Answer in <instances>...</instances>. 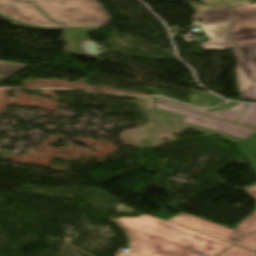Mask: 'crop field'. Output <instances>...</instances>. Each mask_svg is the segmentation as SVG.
I'll return each mask as SVG.
<instances>
[{"mask_svg":"<svg viewBox=\"0 0 256 256\" xmlns=\"http://www.w3.org/2000/svg\"><path fill=\"white\" fill-rule=\"evenodd\" d=\"M117 220L131 237L118 256H217L232 245L146 214Z\"/></svg>","mask_w":256,"mask_h":256,"instance_id":"crop-field-1","label":"crop field"},{"mask_svg":"<svg viewBox=\"0 0 256 256\" xmlns=\"http://www.w3.org/2000/svg\"><path fill=\"white\" fill-rule=\"evenodd\" d=\"M36 4L63 27L99 26L110 21L109 15L95 0H24Z\"/></svg>","mask_w":256,"mask_h":256,"instance_id":"crop-field-2","label":"crop field"},{"mask_svg":"<svg viewBox=\"0 0 256 256\" xmlns=\"http://www.w3.org/2000/svg\"><path fill=\"white\" fill-rule=\"evenodd\" d=\"M245 191L256 200V186ZM168 221L256 252V212L244 219L235 231L186 213Z\"/></svg>","mask_w":256,"mask_h":256,"instance_id":"crop-field-3","label":"crop field"},{"mask_svg":"<svg viewBox=\"0 0 256 256\" xmlns=\"http://www.w3.org/2000/svg\"><path fill=\"white\" fill-rule=\"evenodd\" d=\"M0 17L28 28L61 29L60 24L52 23L32 4L15 0H0Z\"/></svg>","mask_w":256,"mask_h":256,"instance_id":"crop-field-4","label":"crop field"},{"mask_svg":"<svg viewBox=\"0 0 256 256\" xmlns=\"http://www.w3.org/2000/svg\"><path fill=\"white\" fill-rule=\"evenodd\" d=\"M155 107L184 116L182 121L183 123L203 127L206 129L227 134L243 140L247 139L248 137L256 133V130H253V129L241 127L232 123H228V122L207 117L204 115L188 112V111L178 109L172 106H168L162 103L156 102Z\"/></svg>","mask_w":256,"mask_h":256,"instance_id":"crop-field-5","label":"crop field"},{"mask_svg":"<svg viewBox=\"0 0 256 256\" xmlns=\"http://www.w3.org/2000/svg\"><path fill=\"white\" fill-rule=\"evenodd\" d=\"M241 100L256 101V46L233 49Z\"/></svg>","mask_w":256,"mask_h":256,"instance_id":"crop-field-6","label":"crop field"},{"mask_svg":"<svg viewBox=\"0 0 256 256\" xmlns=\"http://www.w3.org/2000/svg\"><path fill=\"white\" fill-rule=\"evenodd\" d=\"M231 40L235 47L256 43V4L233 7Z\"/></svg>","mask_w":256,"mask_h":256,"instance_id":"crop-field-7","label":"crop field"},{"mask_svg":"<svg viewBox=\"0 0 256 256\" xmlns=\"http://www.w3.org/2000/svg\"><path fill=\"white\" fill-rule=\"evenodd\" d=\"M230 22L203 25L201 28L210 38L209 41L202 43L203 50L232 48L230 41Z\"/></svg>","mask_w":256,"mask_h":256,"instance_id":"crop-field-8","label":"crop field"},{"mask_svg":"<svg viewBox=\"0 0 256 256\" xmlns=\"http://www.w3.org/2000/svg\"><path fill=\"white\" fill-rule=\"evenodd\" d=\"M156 100L160 101V102L170 104V105H174V106H177V107H180V108L205 113V114H208V115H212V116L219 117V118H222V119L230 120V121H233V122H235L237 117L240 115V113L246 107V105L238 104L227 112H208V111H205V110H202V109L190 107V106H187V105H184V104H181V103H178V102L166 100V99H163V98H159V99H156Z\"/></svg>","mask_w":256,"mask_h":256,"instance_id":"crop-field-9","label":"crop field"},{"mask_svg":"<svg viewBox=\"0 0 256 256\" xmlns=\"http://www.w3.org/2000/svg\"><path fill=\"white\" fill-rule=\"evenodd\" d=\"M232 12L229 8L208 11L195 12L191 20L202 19L205 24L232 20Z\"/></svg>","mask_w":256,"mask_h":256,"instance_id":"crop-field-10","label":"crop field"},{"mask_svg":"<svg viewBox=\"0 0 256 256\" xmlns=\"http://www.w3.org/2000/svg\"><path fill=\"white\" fill-rule=\"evenodd\" d=\"M241 153L248 159L256 170V134L238 145Z\"/></svg>","mask_w":256,"mask_h":256,"instance_id":"crop-field-11","label":"crop field"},{"mask_svg":"<svg viewBox=\"0 0 256 256\" xmlns=\"http://www.w3.org/2000/svg\"><path fill=\"white\" fill-rule=\"evenodd\" d=\"M236 123L256 128V106L249 105Z\"/></svg>","mask_w":256,"mask_h":256,"instance_id":"crop-field-12","label":"crop field"},{"mask_svg":"<svg viewBox=\"0 0 256 256\" xmlns=\"http://www.w3.org/2000/svg\"><path fill=\"white\" fill-rule=\"evenodd\" d=\"M220 256H256V253L234 245Z\"/></svg>","mask_w":256,"mask_h":256,"instance_id":"crop-field-13","label":"crop field"},{"mask_svg":"<svg viewBox=\"0 0 256 256\" xmlns=\"http://www.w3.org/2000/svg\"><path fill=\"white\" fill-rule=\"evenodd\" d=\"M22 69L23 68H21V67L0 66V77L8 78V77L16 74L17 72H19Z\"/></svg>","mask_w":256,"mask_h":256,"instance_id":"crop-field-14","label":"crop field"},{"mask_svg":"<svg viewBox=\"0 0 256 256\" xmlns=\"http://www.w3.org/2000/svg\"><path fill=\"white\" fill-rule=\"evenodd\" d=\"M192 7L194 8L195 11H207V10L225 8L227 6L224 3H221V4H215V5H209V6L196 5V6H192Z\"/></svg>","mask_w":256,"mask_h":256,"instance_id":"crop-field-15","label":"crop field"},{"mask_svg":"<svg viewBox=\"0 0 256 256\" xmlns=\"http://www.w3.org/2000/svg\"><path fill=\"white\" fill-rule=\"evenodd\" d=\"M225 4L228 7H233V6H240V5H248V4H250V2H249V0H244V1L228 2V3H225Z\"/></svg>","mask_w":256,"mask_h":256,"instance_id":"crop-field-16","label":"crop field"},{"mask_svg":"<svg viewBox=\"0 0 256 256\" xmlns=\"http://www.w3.org/2000/svg\"><path fill=\"white\" fill-rule=\"evenodd\" d=\"M0 65H13V66H22V67H26V66H23V65H19V64H14V63H6V62H0Z\"/></svg>","mask_w":256,"mask_h":256,"instance_id":"crop-field-17","label":"crop field"},{"mask_svg":"<svg viewBox=\"0 0 256 256\" xmlns=\"http://www.w3.org/2000/svg\"><path fill=\"white\" fill-rule=\"evenodd\" d=\"M202 1H204V2H206V3H208V4L220 3V2H222V1H220V0H202Z\"/></svg>","mask_w":256,"mask_h":256,"instance_id":"crop-field-18","label":"crop field"},{"mask_svg":"<svg viewBox=\"0 0 256 256\" xmlns=\"http://www.w3.org/2000/svg\"><path fill=\"white\" fill-rule=\"evenodd\" d=\"M223 2H226V1H232V0H222Z\"/></svg>","mask_w":256,"mask_h":256,"instance_id":"crop-field-19","label":"crop field"}]
</instances>
